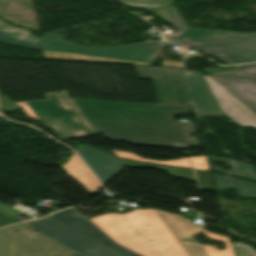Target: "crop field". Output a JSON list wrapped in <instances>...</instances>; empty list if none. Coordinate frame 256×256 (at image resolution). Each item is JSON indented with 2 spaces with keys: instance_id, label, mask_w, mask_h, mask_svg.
Here are the masks:
<instances>
[{
  "instance_id": "obj_1",
  "label": "crop field",
  "mask_w": 256,
  "mask_h": 256,
  "mask_svg": "<svg viewBox=\"0 0 256 256\" xmlns=\"http://www.w3.org/2000/svg\"><path fill=\"white\" fill-rule=\"evenodd\" d=\"M137 76L153 80L160 105L74 99L104 137L136 144L175 147L197 145L193 125L174 122L173 115H189V95L182 71L135 66Z\"/></svg>"
},
{
  "instance_id": "obj_2",
  "label": "crop field",
  "mask_w": 256,
  "mask_h": 256,
  "mask_svg": "<svg viewBox=\"0 0 256 256\" xmlns=\"http://www.w3.org/2000/svg\"><path fill=\"white\" fill-rule=\"evenodd\" d=\"M165 12L178 33L167 40L183 49L194 48L233 64L256 61V33L206 31L187 28L174 6L151 10Z\"/></svg>"
},
{
  "instance_id": "obj_3",
  "label": "crop field",
  "mask_w": 256,
  "mask_h": 256,
  "mask_svg": "<svg viewBox=\"0 0 256 256\" xmlns=\"http://www.w3.org/2000/svg\"><path fill=\"white\" fill-rule=\"evenodd\" d=\"M44 94L47 100L17 104L27 116L51 127L62 141L97 134L66 91Z\"/></svg>"
},
{
  "instance_id": "obj_4",
  "label": "crop field",
  "mask_w": 256,
  "mask_h": 256,
  "mask_svg": "<svg viewBox=\"0 0 256 256\" xmlns=\"http://www.w3.org/2000/svg\"><path fill=\"white\" fill-rule=\"evenodd\" d=\"M61 34H47L39 39L42 51L88 55L87 61L150 65L163 47L162 40L114 48L76 46L62 40Z\"/></svg>"
},
{
  "instance_id": "obj_5",
  "label": "crop field",
  "mask_w": 256,
  "mask_h": 256,
  "mask_svg": "<svg viewBox=\"0 0 256 256\" xmlns=\"http://www.w3.org/2000/svg\"><path fill=\"white\" fill-rule=\"evenodd\" d=\"M26 224L76 251L73 256H119L49 217Z\"/></svg>"
},
{
  "instance_id": "obj_6",
  "label": "crop field",
  "mask_w": 256,
  "mask_h": 256,
  "mask_svg": "<svg viewBox=\"0 0 256 256\" xmlns=\"http://www.w3.org/2000/svg\"><path fill=\"white\" fill-rule=\"evenodd\" d=\"M177 238L181 241L182 238H193L203 228L190 223V220L176 214L167 213L163 210H157ZM199 234V233H198ZM202 234L208 236L209 239L225 244L224 250L217 249L216 246L206 244H195V242H182L184 247L191 256H234L228 237L212 234L203 231Z\"/></svg>"
},
{
  "instance_id": "obj_7",
  "label": "crop field",
  "mask_w": 256,
  "mask_h": 256,
  "mask_svg": "<svg viewBox=\"0 0 256 256\" xmlns=\"http://www.w3.org/2000/svg\"><path fill=\"white\" fill-rule=\"evenodd\" d=\"M221 111L239 125L256 128V114L209 75H203Z\"/></svg>"
},
{
  "instance_id": "obj_8",
  "label": "crop field",
  "mask_w": 256,
  "mask_h": 256,
  "mask_svg": "<svg viewBox=\"0 0 256 256\" xmlns=\"http://www.w3.org/2000/svg\"><path fill=\"white\" fill-rule=\"evenodd\" d=\"M182 71L196 118L202 119V116H224L200 74Z\"/></svg>"
},
{
  "instance_id": "obj_9",
  "label": "crop field",
  "mask_w": 256,
  "mask_h": 256,
  "mask_svg": "<svg viewBox=\"0 0 256 256\" xmlns=\"http://www.w3.org/2000/svg\"><path fill=\"white\" fill-rule=\"evenodd\" d=\"M49 217L59 221L60 223L70 227L71 229L81 233L82 235L118 253L121 256H138L114 244L108 237H106L102 232H100L96 227H94L82 215L72 208Z\"/></svg>"
},
{
  "instance_id": "obj_10",
  "label": "crop field",
  "mask_w": 256,
  "mask_h": 256,
  "mask_svg": "<svg viewBox=\"0 0 256 256\" xmlns=\"http://www.w3.org/2000/svg\"><path fill=\"white\" fill-rule=\"evenodd\" d=\"M76 152L94 172L102 184L110 180L122 167L117 159L94 148L84 146Z\"/></svg>"
},
{
  "instance_id": "obj_11",
  "label": "crop field",
  "mask_w": 256,
  "mask_h": 256,
  "mask_svg": "<svg viewBox=\"0 0 256 256\" xmlns=\"http://www.w3.org/2000/svg\"><path fill=\"white\" fill-rule=\"evenodd\" d=\"M0 233L41 256L54 242L22 224L1 229Z\"/></svg>"
},
{
  "instance_id": "obj_12",
  "label": "crop field",
  "mask_w": 256,
  "mask_h": 256,
  "mask_svg": "<svg viewBox=\"0 0 256 256\" xmlns=\"http://www.w3.org/2000/svg\"><path fill=\"white\" fill-rule=\"evenodd\" d=\"M256 112V80L210 75Z\"/></svg>"
},
{
  "instance_id": "obj_13",
  "label": "crop field",
  "mask_w": 256,
  "mask_h": 256,
  "mask_svg": "<svg viewBox=\"0 0 256 256\" xmlns=\"http://www.w3.org/2000/svg\"><path fill=\"white\" fill-rule=\"evenodd\" d=\"M73 252L57 243L45 252L43 256H71ZM0 256H39L27 248L0 234Z\"/></svg>"
},
{
  "instance_id": "obj_14",
  "label": "crop field",
  "mask_w": 256,
  "mask_h": 256,
  "mask_svg": "<svg viewBox=\"0 0 256 256\" xmlns=\"http://www.w3.org/2000/svg\"><path fill=\"white\" fill-rule=\"evenodd\" d=\"M0 41L13 45L40 49L38 37L31 35L29 30L8 25L1 20Z\"/></svg>"
},
{
  "instance_id": "obj_15",
  "label": "crop field",
  "mask_w": 256,
  "mask_h": 256,
  "mask_svg": "<svg viewBox=\"0 0 256 256\" xmlns=\"http://www.w3.org/2000/svg\"><path fill=\"white\" fill-rule=\"evenodd\" d=\"M217 192H223L228 188H235L239 197L256 198V183L240 180L233 177L211 173Z\"/></svg>"
},
{
  "instance_id": "obj_16",
  "label": "crop field",
  "mask_w": 256,
  "mask_h": 256,
  "mask_svg": "<svg viewBox=\"0 0 256 256\" xmlns=\"http://www.w3.org/2000/svg\"><path fill=\"white\" fill-rule=\"evenodd\" d=\"M72 178L76 179L81 183L91 194L99 187V183L94 179V177L89 173L85 166L80 162V160L73 155L68 160L66 164L61 166Z\"/></svg>"
},
{
  "instance_id": "obj_17",
  "label": "crop field",
  "mask_w": 256,
  "mask_h": 256,
  "mask_svg": "<svg viewBox=\"0 0 256 256\" xmlns=\"http://www.w3.org/2000/svg\"><path fill=\"white\" fill-rule=\"evenodd\" d=\"M207 157L211 170L256 182V171L252 165L227 158L214 157L209 155H207ZM212 160L223 162L227 166L231 167L230 173L221 168L212 166Z\"/></svg>"
},
{
  "instance_id": "obj_18",
  "label": "crop field",
  "mask_w": 256,
  "mask_h": 256,
  "mask_svg": "<svg viewBox=\"0 0 256 256\" xmlns=\"http://www.w3.org/2000/svg\"><path fill=\"white\" fill-rule=\"evenodd\" d=\"M118 160L122 164V166H128V167H156V168L168 171L171 176L178 177V178H184V179H188V180H191V181H195L194 174H193L192 170L157 166V165H152V164L133 162V161H127V160H120V159H118ZM171 171H173V172H171Z\"/></svg>"
},
{
  "instance_id": "obj_19",
  "label": "crop field",
  "mask_w": 256,
  "mask_h": 256,
  "mask_svg": "<svg viewBox=\"0 0 256 256\" xmlns=\"http://www.w3.org/2000/svg\"><path fill=\"white\" fill-rule=\"evenodd\" d=\"M112 151H113L114 155H116L117 157H121V158H128V159L141 160V161H147V162L164 164V165L192 168L190 161H189V157L173 159V160H166V161H154V160L142 158V157H140L132 152H128V151H121V150H115V149H112Z\"/></svg>"
},
{
  "instance_id": "obj_20",
  "label": "crop field",
  "mask_w": 256,
  "mask_h": 256,
  "mask_svg": "<svg viewBox=\"0 0 256 256\" xmlns=\"http://www.w3.org/2000/svg\"><path fill=\"white\" fill-rule=\"evenodd\" d=\"M127 6H138L147 10L164 7L172 4V0H118Z\"/></svg>"
},
{
  "instance_id": "obj_21",
  "label": "crop field",
  "mask_w": 256,
  "mask_h": 256,
  "mask_svg": "<svg viewBox=\"0 0 256 256\" xmlns=\"http://www.w3.org/2000/svg\"><path fill=\"white\" fill-rule=\"evenodd\" d=\"M235 67L237 69L236 71L220 72V73H215V74L256 78V64L238 65Z\"/></svg>"
},
{
  "instance_id": "obj_22",
  "label": "crop field",
  "mask_w": 256,
  "mask_h": 256,
  "mask_svg": "<svg viewBox=\"0 0 256 256\" xmlns=\"http://www.w3.org/2000/svg\"><path fill=\"white\" fill-rule=\"evenodd\" d=\"M200 190L216 191L210 172L194 170Z\"/></svg>"
},
{
  "instance_id": "obj_23",
  "label": "crop field",
  "mask_w": 256,
  "mask_h": 256,
  "mask_svg": "<svg viewBox=\"0 0 256 256\" xmlns=\"http://www.w3.org/2000/svg\"><path fill=\"white\" fill-rule=\"evenodd\" d=\"M235 256H256V251L244 243H231Z\"/></svg>"
},
{
  "instance_id": "obj_24",
  "label": "crop field",
  "mask_w": 256,
  "mask_h": 256,
  "mask_svg": "<svg viewBox=\"0 0 256 256\" xmlns=\"http://www.w3.org/2000/svg\"><path fill=\"white\" fill-rule=\"evenodd\" d=\"M44 59H54V60H75V61H86L87 56H76V55H66L58 53L43 52Z\"/></svg>"
},
{
  "instance_id": "obj_25",
  "label": "crop field",
  "mask_w": 256,
  "mask_h": 256,
  "mask_svg": "<svg viewBox=\"0 0 256 256\" xmlns=\"http://www.w3.org/2000/svg\"><path fill=\"white\" fill-rule=\"evenodd\" d=\"M0 110L5 112H12L18 108H20L17 104H15L13 101H11L9 98H7L5 95H3L0 92Z\"/></svg>"
},
{
  "instance_id": "obj_26",
  "label": "crop field",
  "mask_w": 256,
  "mask_h": 256,
  "mask_svg": "<svg viewBox=\"0 0 256 256\" xmlns=\"http://www.w3.org/2000/svg\"><path fill=\"white\" fill-rule=\"evenodd\" d=\"M193 167L197 169L210 170L207 162L206 155L191 157ZM202 164V166H200Z\"/></svg>"
},
{
  "instance_id": "obj_27",
  "label": "crop field",
  "mask_w": 256,
  "mask_h": 256,
  "mask_svg": "<svg viewBox=\"0 0 256 256\" xmlns=\"http://www.w3.org/2000/svg\"><path fill=\"white\" fill-rule=\"evenodd\" d=\"M0 211L9 215V216H11V217L23 214L22 212L21 213L18 212L17 210L12 208L11 206H7V205L1 204V203H0Z\"/></svg>"
},
{
  "instance_id": "obj_28",
  "label": "crop field",
  "mask_w": 256,
  "mask_h": 256,
  "mask_svg": "<svg viewBox=\"0 0 256 256\" xmlns=\"http://www.w3.org/2000/svg\"><path fill=\"white\" fill-rule=\"evenodd\" d=\"M162 66H174V67L181 68L182 67V63L174 62V61H163Z\"/></svg>"
},
{
  "instance_id": "obj_29",
  "label": "crop field",
  "mask_w": 256,
  "mask_h": 256,
  "mask_svg": "<svg viewBox=\"0 0 256 256\" xmlns=\"http://www.w3.org/2000/svg\"><path fill=\"white\" fill-rule=\"evenodd\" d=\"M156 15L158 17H160L162 20L170 22L169 19L167 18V16L165 15V13H163V14H156Z\"/></svg>"
}]
</instances>
